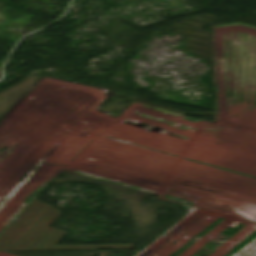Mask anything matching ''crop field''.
<instances>
[{
	"mask_svg": "<svg viewBox=\"0 0 256 256\" xmlns=\"http://www.w3.org/2000/svg\"><path fill=\"white\" fill-rule=\"evenodd\" d=\"M61 212L34 200L1 234L0 251L50 250L56 248L122 247L111 245H56L68 232L48 227Z\"/></svg>",
	"mask_w": 256,
	"mask_h": 256,
	"instance_id": "obj_1",
	"label": "crop field"
},
{
	"mask_svg": "<svg viewBox=\"0 0 256 256\" xmlns=\"http://www.w3.org/2000/svg\"><path fill=\"white\" fill-rule=\"evenodd\" d=\"M256 250V239L252 241L249 245H247L244 249H242L235 256H249Z\"/></svg>",
	"mask_w": 256,
	"mask_h": 256,
	"instance_id": "obj_2",
	"label": "crop field"
}]
</instances>
